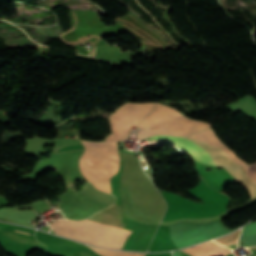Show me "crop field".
Returning <instances> with one entry per match:
<instances>
[{
	"mask_svg": "<svg viewBox=\"0 0 256 256\" xmlns=\"http://www.w3.org/2000/svg\"><path fill=\"white\" fill-rule=\"evenodd\" d=\"M49 225L56 234L113 249H122L133 231V228L92 217L82 221L55 220Z\"/></svg>",
	"mask_w": 256,
	"mask_h": 256,
	"instance_id": "8a807250",
	"label": "crop field"
},
{
	"mask_svg": "<svg viewBox=\"0 0 256 256\" xmlns=\"http://www.w3.org/2000/svg\"><path fill=\"white\" fill-rule=\"evenodd\" d=\"M152 139H161L170 142L185 150L195 160L214 166L225 167L234 178L242 182L249 189L252 199L256 198V183L246 176L240 167L229 160L222 150L200 141L186 138L171 136H154L149 138V140Z\"/></svg>",
	"mask_w": 256,
	"mask_h": 256,
	"instance_id": "ac0d7876",
	"label": "crop field"
},
{
	"mask_svg": "<svg viewBox=\"0 0 256 256\" xmlns=\"http://www.w3.org/2000/svg\"><path fill=\"white\" fill-rule=\"evenodd\" d=\"M194 136L198 140H201V141L207 142L211 145H215L219 148H222L230 159H232L233 161L238 163L239 166H241L242 169L248 174V176L256 181V163L248 165V164H245L244 162H242L241 160H239L238 158H236L234 153L231 150L227 149L223 145V143L216 137L212 128H210L204 132L194 134ZM194 136L192 135V136H190V138H194Z\"/></svg>",
	"mask_w": 256,
	"mask_h": 256,
	"instance_id": "34b2d1b8",
	"label": "crop field"
},
{
	"mask_svg": "<svg viewBox=\"0 0 256 256\" xmlns=\"http://www.w3.org/2000/svg\"><path fill=\"white\" fill-rule=\"evenodd\" d=\"M240 230L226 236L220 239H216L210 242H206L197 246H193L187 249H184L182 251L189 253L191 255L203 253V252H208L220 248H225L229 246L235 245V241L238 240V235H239ZM237 245V242H236Z\"/></svg>",
	"mask_w": 256,
	"mask_h": 256,
	"instance_id": "412701ff",
	"label": "crop field"
},
{
	"mask_svg": "<svg viewBox=\"0 0 256 256\" xmlns=\"http://www.w3.org/2000/svg\"><path fill=\"white\" fill-rule=\"evenodd\" d=\"M91 248L94 249L97 253H99V254H101L103 256H145L146 255V254H140V253H129V252H122V251H111V250L99 249V248H95V247H91Z\"/></svg>",
	"mask_w": 256,
	"mask_h": 256,
	"instance_id": "f4fd0767",
	"label": "crop field"
},
{
	"mask_svg": "<svg viewBox=\"0 0 256 256\" xmlns=\"http://www.w3.org/2000/svg\"><path fill=\"white\" fill-rule=\"evenodd\" d=\"M181 256H190V255H188V254H186L184 252H181Z\"/></svg>",
	"mask_w": 256,
	"mask_h": 256,
	"instance_id": "dd49c442",
	"label": "crop field"
},
{
	"mask_svg": "<svg viewBox=\"0 0 256 256\" xmlns=\"http://www.w3.org/2000/svg\"><path fill=\"white\" fill-rule=\"evenodd\" d=\"M19 232V231H18ZM24 233V232H23ZM27 234H30V233H27ZM32 235H34V234H32Z\"/></svg>",
	"mask_w": 256,
	"mask_h": 256,
	"instance_id": "e52e79f7",
	"label": "crop field"
},
{
	"mask_svg": "<svg viewBox=\"0 0 256 256\" xmlns=\"http://www.w3.org/2000/svg\"><path fill=\"white\" fill-rule=\"evenodd\" d=\"M239 246H241V245L239 244Z\"/></svg>",
	"mask_w": 256,
	"mask_h": 256,
	"instance_id": "d8731c3e",
	"label": "crop field"
}]
</instances>
